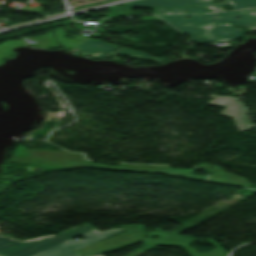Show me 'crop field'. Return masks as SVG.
I'll list each match as a JSON object with an SVG mask.
<instances>
[{
  "label": "crop field",
  "mask_w": 256,
  "mask_h": 256,
  "mask_svg": "<svg viewBox=\"0 0 256 256\" xmlns=\"http://www.w3.org/2000/svg\"><path fill=\"white\" fill-rule=\"evenodd\" d=\"M224 4L214 5L211 0H138L129 2L130 5L142 6H182V5H202L212 9L210 13L204 7H188L163 9L155 8L158 16L169 22L181 32L187 33L189 36L234 29L236 27L230 23H218V21H231L237 26H247L249 30L256 29V9L242 11H222L221 5L232 4L233 9L256 7V0H224ZM187 10L188 13L183 11ZM185 15H191L190 19L183 18ZM237 17H240L238 20Z\"/></svg>",
  "instance_id": "obj_1"
},
{
  "label": "crop field",
  "mask_w": 256,
  "mask_h": 256,
  "mask_svg": "<svg viewBox=\"0 0 256 256\" xmlns=\"http://www.w3.org/2000/svg\"><path fill=\"white\" fill-rule=\"evenodd\" d=\"M34 154L40 155V157ZM11 161L38 165L45 169L75 168L81 166H88L114 170H132L165 173L170 176L190 177L198 180L206 178V176L191 175L190 173L192 172V170H175L169 169V167L161 166L120 164L117 167H109L87 161L82 158V154H76L64 151L62 149L58 151H48L40 149H27L25 147L18 146Z\"/></svg>",
  "instance_id": "obj_2"
},
{
  "label": "crop field",
  "mask_w": 256,
  "mask_h": 256,
  "mask_svg": "<svg viewBox=\"0 0 256 256\" xmlns=\"http://www.w3.org/2000/svg\"><path fill=\"white\" fill-rule=\"evenodd\" d=\"M94 229L91 224L73 227L62 233L40 237L36 240H14L10 236H0V256H32L70 238Z\"/></svg>",
  "instance_id": "obj_3"
},
{
  "label": "crop field",
  "mask_w": 256,
  "mask_h": 256,
  "mask_svg": "<svg viewBox=\"0 0 256 256\" xmlns=\"http://www.w3.org/2000/svg\"><path fill=\"white\" fill-rule=\"evenodd\" d=\"M120 227L126 232L83 247L74 252L81 256L103 254L122 246L144 240L143 225H126Z\"/></svg>",
  "instance_id": "obj_4"
},
{
  "label": "crop field",
  "mask_w": 256,
  "mask_h": 256,
  "mask_svg": "<svg viewBox=\"0 0 256 256\" xmlns=\"http://www.w3.org/2000/svg\"><path fill=\"white\" fill-rule=\"evenodd\" d=\"M155 236H163L165 238L162 240H159V239H155L154 238ZM209 238H207L206 241L209 242L214 247L218 248V249L212 250V252H215L212 255L205 252H201L199 254L195 252L194 248H187L193 242V240H195V238H192L189 236L166 233L159 229H157L155 232L147 234L146 244L183 247L190 256H227L228 250H226L221 245H219L218 243H216L215 241Z\"/></svg>",
  "instance_id": "obj_5"
},
{
  "label": "crop field",
  "mask_w": 256,
  "mask_h": 256,
  "mask_svg": "<svg viewBox=\"0 0 256 256\" xmlns=\"http://www.w3.org/2000/svg\"><path fill=\"white\" fill-rule=\"evenodd\" d=\"M120 232L119 228L103 232L92 230L82 234L84 238L81 241L70 239L35 256H79L72 251Z\"/></svg>",
  "instance_id": "obj_6"
},
{
  "label": "crop field",
  "mask_w": 256,
  "mask_h": 256,
  "mask_svg": "<svg viewBox=\"0 0 256 256\" xmlns=\"http://www.w3.org/2000/svg\"><path fill=\"white\" fill-rule=\"evenodd\" d=\"M209 98L214 99L209 101V105L226 107L221 111V115L233 117L238 131L249 130L253 128V123L248 117L244 107L236 99L211 95Z\"/></svg>",
  "instance_id": "obj_7"
},
{
  "label": "crop field",
  "mask_w": 256,
  "mask_h": 256,
  "mask_svg": "<svg viewBox=\"0 0 256 256\" xmlns=\"http://www.w3.org/2000/svg\"><path fill=\"white\" fill-rule=\"evenodd\" d=\"M52 30L55 32V34L57 36V40L60 43L59 45H62V46H63V44L67 45V46H64L65 48L72 49L74 46H76L82 40L74 35L65 34L64 29L57 28V29H52ZM66 35L72 36L74 38L73 39L67 38V37H65ZM28 40L35 41L34 44L32 43L31 45L36 46V47H45V48L59 47V45L56 43V41L53 37L51 30H49V32L45 35L34 37V38H29Z\"/></svg>",
  "instance_id": "obj_8"
},
{
  "label": "crop field",
  "mask_w": 256,
  "mask_h": 256,
  "mask_svg": "<svg viewBox=\"0 0 256 256\" xmlns=\"http://www.w3.org/2000/svg\"><path fill=\"white\" fill-rule=\"evenodd\" d=\"M116 48L117 45L98 40L84 41L78 46L80 53L99 58L110 57Z\"/></svg>",
  "instance_id": "obj_9"
},
{
  "label": "crop field",
  "mask_w": 256,
  "mask_h": 256,
  "mask_svg": "<svg viewBox=\"0 0 256 256\" xmlns=\"http://www.w3.org/2000/svg\"><path fill=\"white\" fill-rule=\"evenodd\" d=\"M198 166L203 167L208 172H212V170H214V172H212V175L209 176L208 178L209 181L228 183V184H237V185L246 186V187H248L250 184V181L244 178H242L243 180H240L241 177L227 173L218 167H215L206 163L199 164ZM209 167H212V169H209Z\"/></svg>",
  "instance_id": "obj_10"
},
{
  "label": "crop field",
  "mask_w": 256,
  "mask_h": 256,
  "mask_svg": "<svg viewBox=\"0 0 256 256\" xmlns=\"http://www.w3.org/2000/svg\"><path fill=\"white\" fill-rule=\"evenodd\" d=\"M225 32H228L227 34ZM241 29L199 35L190 37L192 42H215V41H224V40H233L239 36ZM233 36H230V35Z\"/></svg>",
  "instance_id": "obj_11"
},
{
  "label": "crop field",
  "mask_w": 256,
  "mask_h": 256,
  "mask_svg": "<svg viewBox=\"0 0 256 256\" xmlns=\"http://www.w3.org/2000/svg\"><path fill=\"white\" fill-rule=\"evenodd\" d=\"M23 42L21 40L18 41H12V40H8L4 43L0 44V63L3 62L2 59H5L9 56H11L12 54H14L11 49L14 46H19L22 45Z\"/></svg>",
  "instance_id": "obj_12"
},
{
  "label": "crop field",
  "mask_w": 256,
  "mask_h": 256,
  "mask_svg": "<svg viewBox=\"0 0 256 256\" xmlns=\"http://www.w3.org/2000/svg\"><path fill=\"white\" fill-rule=\"evenodd\" d=\"M118 53L120 54H126V55H132V56H139V57H146V58H152V59H156L155 61L156 62H162L164 61L165 58H154V57H151V56H148L142 52H139V51H134L132 49H129V48H125V47H122L120 48V50L118 51Z\"/></svg>",
  "instance_id": "obj_13"
},
{
  "label": "crop field",
  "mask_w": 256,
  "mask_h": 256,
  "mask_svg": "<svg viewBox=\"0 0 256 256\" xmlns=\"http://www.w3.org/2000/svg\"><path fill=\"white\" fill-rule=\"evenodd\" d=\"M97 256H102V255H97Z\"/></svg>",
  "instance_id": "obj_14"
},
{
  "label": "crop field",
  "mask_w": 256,
  "mask_h": 256,
  "mask_svg": "<svg viewBox=\"0 0 256 256\" xmlns=\"http://www.w3.org/2000/svg\"><path fill=\"white\" fill-rule=\"evenodd\" d=\"M242 10V9H241Z\"/></svg>",
  "instance_id": "obj_15"
}]
</instances>
